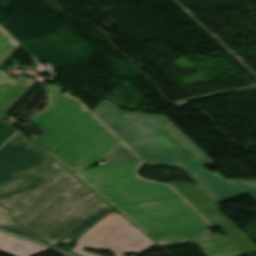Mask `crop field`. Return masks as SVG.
Returning a JSON list of instances; mask_svg holds the SVG:
<instances>
[{
    "label": "crop field",
    "instance_id": "8a807250",
    "mask_svg": "<svg viewBox=\"0 0 256 256\" xmlns=\"http://www.w3.org/2000/svg\"><path fill=\"white\" fill-rule=\"evenodd\" d=\"M0 204L55 246L112 210L20 132L0 149Z\"/></svg>",
    "mask_w": 256,
    "mask_h": 256
},
{
    "label": "crop field",
    "instance_id": "ac0d7876",
    "mask_svg": "<svg viewBox=\"0 0 256 256\" xmlns=\"http://www.w3.org/2000/svg\"><path fill=\"white\" fill-rule=\"evenodd\" d=\"M142 161L73 172L147 235L214 226L170 184L140 177Z\"/></svg>",
    "mask_w": 256,
    "mask_h": 256
},
{
    "label": "crop field",
    "instance_id": "34b2d1b8",
    "mask_svg": "<svg viewBox=\"0 0 256 256\" xmlns=\"http://www.w3.org/2000/svg\"><path fill=\"white\" fill-rule=\"evenodd\" d=\"M92 111L149 164L184 168L215 202L247 193L205 170L213 162L165 116L122 112L107 100Z\"/></svg>",
    "mask_w": 256,
    "mask_h": 256
},
{
    "label": "crop field",
    "instance_id": "412701ff",
    "mask_svg": "<svg viewBox=\"0 0 256 256\" xmlns=\"http://www.w3.org/2000/svg\"><path fill=\"white\" fill-rule=\"evenodd\" d=\"M31 122L44 133L34 143L69 170L89 167L119 140L65 94L54 97Z\"/></svg>",
    "mask_w": 256,
    "mask_h": 256
},
{
    "label": "crop field",
    "instance_id": "f4fd0767",
    "mask_svg": "<svg viewBox=\"0 0 256 256\" xmlns=\"http://www.w3.org/2000/svg\"><path fill=\"white\" fill-rule=\"evenodd\" d=\"M86 245L123 256L126 251L140 254L157 244L114 210L80 236L72 251L82 256H96L81 250Z\"/></svg>",
    "mask_w": 256,
    "mask_h": 256
},
{
    "label": "crop field",
    "instance_id": "dd49c442",
    "mask_svg": "<svg viewBox=\"0 0 256 256\" xmlns=\"http://www.w3.org/2000/svg\"><path fill=\"white\" fill-rule=\"evenodd\" d=\"M151 238L161 246L196 241L207 256H238L244 253L226 236L210 233L208 229L172 233Z\"/></svg>",
    "mask_w": 256,
    "mask_h": 256
},
{
    "label": "crop field",
    "instance_id": "e52e79f7",
    "mask_svg": "<svg viewBox=\"0 0 256 256\" xmlns=\"http://www.w3.org/2000/svg\"><path fill=\"white\" fill-rule=\"evenodd\" d=\"M170 184L188 201H190L202 214H204L215 226L228 223L216 212L214 203H212L196 186L187 182H175Z\"/></svg>",
    "mask_w": 256,
    "mask_h": 256
},
{
    "label": "crop field",
    "instance_id": "d8731c3e",
    "mask_svg": "<svg viewBox=\"0 0 256 256\" xmlns=\"http://www.w3.org/2000/svg\"><path fill=\"white\" fill-rule=\"evenodd\" d=\"M50 249L0 232V251L14 256H35Z\"/></svg>",
    "mask_w": 256,
    "mask_h": 256
},
{
    "label": "crop field",
    "instance_id": "5a996713",
    "mask_svg": "<svg viewBox=\"0 0 256 256\" xmlns=\"http://www.w3.org/2000/svg\"><path fill=\"white\" fill-rule=\"evenodd\" d=\"M108 164L132 161L140 159L132 150L126 147L121 141L109 150L103 157Z\"/></svg>",
    "mask_w": 256,
    "mask_h": 256
},
{
    "label": "crop field",
    "instance_id": "3316defc",
    "mask_svg": "<svg viewBox=\"0 0 256 256\" xmlns=\"http://www.w3.org/2000/svg\"><path fill=\"white\" fill-rule=\"evenodd\" d=\"M0 229L41 242L39 238L27 230L15 225L7 211V209L0 206ZM43 243V242H41Z\"/></svg>",
    "mask_w": 256,
    "mask_h": 256
},
{
    "label": "crop field",
    "instance_id": "28ad6ade",
    "mask_svg": "<svg viewBox=\"0 0 256 256\" xmlns=\"http://www.w3.org/2000/svg\"><path fill=\"white\" fill-rule=\"evenodd\" d=\"M36 82L35 80L26 79L11 97L0 106V115L4 117Z\"/></svg>",
    "mask_w": 256,
    "mask_h": 256
},
{
    "label": "crop field",
    "instance_id": "d1516ede",
    "mask_svg": "<svg viewBox=\"0 0 256 256\" xmlns=\"http://www.w3.org/2000/svg\"><path fill=\"white\" fill-rule=\"evenodd\" d=\"M221 228H223V232L228 234L227 237L230 238L245 253L256 251V248L231 224L221 226Z\"/></svg>",
    "mask_w": 256,
    "mask_h": 256
},
{
    "label": "crop field",
    "instance_id": "22f410ed",
    "mask_svg": "<svg viewBox=\"0 0 256 256\" xmlns=\"http://www.w3.org/2000/svg\"><path fill=\"white\" fill-rule=\"evenodd\" d=\"M20 46L0 29V65L6 61Z\"/></svg>",
    "mask_w": 256,
    "mask_h": 256
},
{
    "label": "crop field",
    "instance_id": "cbeb9de0",
    "mask_svg": "<svg viewBox=\"0 0 256 256\" xmlns=\"http://www.w3.org/2000/svg\"><path fill=\"white\" fill-rule=\"evenodd\" d=\"M19 84L9 79L0 69V104Z\"/></svg>",
    "mask_w": 256,
    "mask_h": 256
},
{
    "label": "crop field",
    "instance_id": "5142ce71",
    "mask_svg": "<svg viewBox=\"0 0 256 256\" xmlns=\"http://www.w3.org/2000/svg\"><path fill=\"white\" fill-rule=\"evenodd\" d=\"M17 130L0 117V145L9 139Z\"/></svg>",
    "mask_w": 256,
    "mask_h": 256
},
{
    "label": "crop field",
    "instance_id": "d9b57169",
    "mask_svg": "<svg viewBox=\"0 0 256 256\" xmlns=\"http://www.w3.org/2000/svg\"><path fill=\"white\" fill-rule=\"evenodd\" d=\"M244 190H246L256 200V179L253 180H234Z\"/></svg>",
    "mask_w": 256,
    "mask_h": 256
},
{
    "label": "crop field",
    "instance_id": "733c2abd",
    "mask_svg": "<svg viewBox=\"0 0 256 256\" xmlns=\"http://www.w3.org/2000/svg\"><path fill=\"white\" fill-rule=\"evenodd\" d=\"M46 89L49 91V93L51 94V98L59 91H57L56 89L50 87V86H45Z\"/></svg>",
    "mask_w": 256,
    "mask_h": 256
},
{
    "label": "crop field",
    "instance_id": "4a817a6b",
    "mask_svg": "<svg viewBox=\"0 0 256 256\" xmlns=\"http://www.w3.org/2000/svg\"><path fill=\"white\" fill-rule=\"evenodd\" d=\"M56 249H60V248H56ZM60 250H62V249H60ZM62 251L66 252V253H68V254H70V255H72V256H77V255H75V254H73V253H71V252H69V251H65V250H62Z\"/></svg>",
    "mask_w": 256,
    "mask_h": 256
}]
</instances>
